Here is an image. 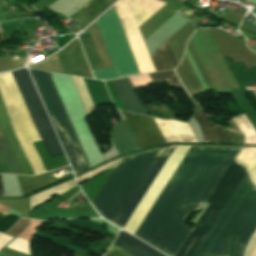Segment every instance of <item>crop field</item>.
<instances>
[{
  "label": "crop field",
  "instance_id": "crop-field-12",
  "mask_svg": "<svg viewBox=\"0 0 256 256\" xmlns=\"http://www.w3.org/2000/svg\"><path fill=\"white\" fill-rule=\"evenodd\" d=\"M155 122L161 131L166 143L168 142H197L193 131L188 123L174 120H159Z\"/></svg>",
  "mask_w": 256,
  "mask_h": 256
},
{
  "label": "crop field",
  "instance_id": "crop-field-21",
  "mask_svg": "<svg viewBox=\"0 0 256 256\" xmlns=\"http://www.w3.org/2000/svg\"><path fill=\"white\" fill-rule=\"evenodd\" d=\"M115 0H90L84 7L89 19V22L94 20L100 15L108 6H110Z\"/></svg>",
  "mask_w": 256,
  "mask_h": 256
},
{
  "label": "crop field",
  "instance_id": "crop-field-17",
  "mask_svg": "<svg viewBox=\"0 0 256 256\" xmlns=\"http://www.w3.org/2000/svg\"><path fill=\"white\" fill-rule=\"evenodd\" d=\"M77 183L75 180L71 179L68 180L64 183H61L59 185H56L54 187H51L47 190H44L42 192H39L35 195H32L29 197V201H30V211L36 206L39 205L47 200H49V198L54 195V194H58L61 195L65 192H67L68 190H70L71 188H73L74 186H76Z\"/></svg>",
  "mask_w": 256,
  "mask_h": 256
},
{
  "label": "crop field",
  "instance_id": "crop-field-18",
  "mask_svg": "<svg viewBox=\"0 0 256 256\" xmlns=\"http://www.w3.org/2000/svg\"><path fill=\"white\" fill-rule=\"evenodd\" d=\"M236 161L244 164L249 172L256 163V147H244L236 158ZM249 175L252 183L256 186V164L249 172Z\"/></svg>",
  "mask_w": 256,
  "mask_h": 256
},
{
  "label": "crop field",
  "instance_id": "crop-field-15",
  "mask_svg": "<svg viewBox=\"0 0 256 256\" xmlns=\"http://www.w3.org/2000/svg\"><path fill=\"white\" fill-rule=\"evenodd\" d=\"M113 244L123 248L134 256H165L123 231H120Z\"/></svg>",
  "mask_w": 256,
  "mask_h": 256
},
{
  "label": "crop field",
  "instance_id": "crop-field-25",
  "mask_svg": "<svg viewBox=\"0 0 256 256\" xmlns=\"http://www.w3.org/2000/svg\"><path fill=\"white\" fill-rule=\"evenodd\" d=\"M28 241L21 240L16 238L13 242H11L6 248L13 249L22 253L29 254Z\"/></svg>",
  "mask_w": 256,
  "mask_h": 256
},
{
  "label": "crop field",
  "instance_id": "crop-field-23",
  "mask_svg": "<svg viewBox=\"0 0 256 256\" xmlns=\"http://www.w3.org/2000/svg\"><path fill=\"white\" fill-rule=\"evenodd\" d=\"M153 83L166 81L167 84L180 82L174 72V70L166 71L162 73L149 74Z\"/></svg>",
  "mask_w": 256,
  "mask_h": 256
},
{
  "label": "crop field",
  "instance_id": "crop-field-14",
  "mask_svg": "<svg viewBox=\"0 0 256 256\" xmlns=\"http://www.w3.org/2000/svg\"><path fill=\"white\" fill-rule=\"evenodd\" d=\"M111 141L118 155L139 151L140 148L126 121L117 124L112 130Z\"/></svg>",
  "mask_w": 256,
  "mask_h": 256
},
{
  "label": "crop field",
  "instance_id": "crop-field-16",
  "mask_svg": "<svg viewBox=\"0 0 256 256\" xmlns=\"http://www.w3.org/2000/svg\"><path fill=\"white\" fill-rule=\"evenodd\" d=\"M150 57L156 71L171 69L177 65L168 41L162 44Z\"/></svg>",
  "mask_w": 256,
  "mask_h": 256
},
{
  "label": "crop field",
  "instance_id": "crop-field-10",
  "mask_svg": "<svg viewBox=\"0 0 256 256\" xmlns=\"http://www.w3.org/2000/svg\"><path fill=\"white\" fill-rule=\"evenodd\" d=\"M123 115L133 132L141 150L165 144L153 118L123 112Z\"/></svg>",
  "mask_w": 256,
  "mask_h": 256
},
{
  "label": "crop field",
  "instance_id": "crop-field-27",
  "mask_svg": "<svg viewBox=\"0 0 256 256\" xmlns=\"http://www.w3.org/2000/svg\"><path fill=\"white\" fill-rule=\"evenodd\" d=\"M245 256H256V233L247 246Z\"/></svg>",
  "mask_w": 256,
  "mask_h": 256
},
{
  "label": "crop field",
  "instance_id": "crop-field-1",
  "mask_svg": "<svg viewBox=\"0 0 256 256\" xmlns=\"http://www.w3.org/2000/svg\"><path fill=\"white\" fill-rule=\"evenodd\" d=\"M239 150L191 147L134 235L174 256L190 231L186 218L206 202Z\"/></svg>",
  "mask_w": 256,
  "mask_h": 256
},
{
  "label": "crop field",
  "instance_id": "crop-field-7",
  "mask_svg": "<svg viewBox=\"0 0 256 256\" xmlns=\"http://www.w3.org/2000/svg\"><path fill=\"white\" fill-rule=\"evenodd\" d=\"M247 170L232 162L221 181L207 200L209 204L193 231L187 237L176 256H192L209 228L241 182Z\"/></svg>",
  "mask_w": 256,
  "mask_h": 256
},
{
  "label": "crop field",
  "instance_id": "crop-field-20",
  "mask_svg": "<svg viewBox=\"0 0 256 256\" xmlns=\"http://www.w3.org/2000/svg\"><path fill=\"white\" fill-rule=\"evenodd\" d=\"M232 121L239 131L245 135V144H256V132L244 114L233 118Z\"/></svg>",
  "mask_w": 256,
  "mask_h": 256
},
{
  "label": "crop field",
  "instance_id": "crop-field-9",
  "mask_svg": "<svg viewBox=\"0 0 256 256\" xmlns=\"http://www.w3.org/2000/svg\"><path fill=\"white\" fill-rule=\"evenodd\" d=\"M11 73L50 157L64 154L26 69Z\"/></svg>",
  "mask_w": 256,
  "mask_h": 256
},
{
  "label": "crop field",
  "instance_id": "crop-field-3",
  "mask_svg": "<svg viewBox=\"0 0 256 256\" xmlns=\"http://www.w3.org/2000/svg\"><path fill=\"white\" fill-rule=\"evenodd\" d=\"M174 147L175 145H169L159 148L111 223L122 228ZM189 148L190 146L176 145L167 161L151 183L150 187L123 226V229L134 234Z\"/></svg>",
  "mask_w": 256,
  "mask_h": 256
},
{
  "label": "crop field",
  "instance_id": "crop-field-6",
  "mask_svg": "<svg viewBox=\"0 0 256 256\" xmlns=\"http://www.w3.org/2000/svg\"><path fill=\"white\" fill-rule=\"evenodd\" d=\"M0 93L15 136L34 174L36 175L45 172V169L31 143L39 141L40 138L10 72L0 75Z\"/></svg>",
  "mask_w": 256,
  "mask_h": 256
},
{
  "label": "crop field",
  "instance_id": "crop-field-11",
  "mask_svg": "<svg viewBox=\"0 0 256 256\" xmlns=\"http://www.w3.org/2000/svg\"><path fill=\"white\" fill-rule=\"evenodd\" d=\"M192 117L200 128L204 143L232 144L231 131L211 123L202 109Z\"/></svg>",
  "mask_w": 256,
  "mask_h": 256
},
{
  "label": "crop field",
  "instance_id": "crop-field-22",
  "mask_svg": "<svg viewBox=\"0 0 256 256\" xmlns=\"http://www.w3.org/2000/svg\"><path fill=\"white\" fill-rule=\"evenodd\" d=\"M0 152L12 173L21 174L0 132Z\"/></svg>",
  "mask_w": 256,
  "mask_h": 256
},
{
  "label": "crop field",
  "instance_id": "crop-field-19",
  "mask_svg": "<svg viewBox=\"0 0 256 256\" xmlns=\"http://www.w3.org/2000/svg\"><path fill=\"white\" fill-rule=\"evenodd\" d=\"M86 57L92 70L102 68L95 52L92 40L89 34L81 33L79 36Z\"/></svg>",
  "mask_w": 256,
  "mask_h": 256
},
{
  "label": "crop field",
  "instance_id": "crop-field-2",
  "mask_svg": "<svg viewBox=\"0 0 256 256\" xmlns=\"http://www.w3.org/2000/svg\"><path fill=\"white\" fill-rule=\"evenodd\" d=\"M256 229V188L245 176L193 256H241Z\"/></svg>",
  "mask_w": 256,
  "mask_h": 256
},
{
  "label": "crop field",
  "instance_id": "crop-field-4",
  "mask_svg": "<svg viewBox=\"0 0 256 256\" xmlns=\"http://www.w3.org/2000/svg\"><path fill=\"white\" fill-rule=\"evenodd\" d=\"M156 150L122 158L111 178L94 202L101 216L111 222Z\"/></svg>",
  "mask_w": 256,
  "mask_h": 256
},
{
  "label": "crop field",
  "instance_id": "crop-field-29",
  "mask_svg": "<svg viewBox=\"0 0 256 256\" xmlns=\"http://www.w3.org/2000/svg\"><path fill=\"white\" fill-rule=\"evenodd\" d=\"M0 173H10L7 165L0 166Z\"/></svg>",
  "mask_w": 256,
  "mask_h": 256
},
{
  "label": "crop field",
  "instance_id": "crop-field-8",
  "mask_svg": "<svg viewBox=\"0 0 256 256\" xmlns=\"http://www.w3.org/2000/svg\"><path fill=\"white\" fill-rule=\"evenodd\" d=\"M97 24L114 68L92 71L94 77L106 80L139 74L114 8Z\"/></svg>",
  "mask_w": 256,
  "mask_h": 256
},
{
  "label": "crop field",
  "instance_id": "crop-field-28",
  "mask_svg": "<svg viewBox=\"0 0 256 256\" xmlns=\"http://www.w3.org/2000/svg\"><path fill=\"white\" fill-rule=\"evenodd\" d=\"M12 239V237L0 234V250Z\"/></svg>",
  "mask_w": 256,
  "mask_h": 256
},
{
  "label": "crop field",
  "instance_id": "crop-field-13",
  "mask_svg": "<svg viewBox=\"0 0 256 256\" xmlns=\"http://www.w3.org/2000/svg\"><path fill=\"white\" fill-rule=\"evenodd\" d=\"M111 83L125 105L127 111L150 116V114L144 108L143 103L133 90L128 78L112 80Z\"/></svg>",
  "mask_w": 256,
  "mask_h": 256
},
{
  "label": "crop field",
  "instance_id": "crop-field-5",
  "mask_svg": "<svg viewBox=\"0 0 256 256\" xmlns=\"http://www.w3.org/2000/svg\"><path fill=\"white\" fill-rule=\"evenodd\" d=\"M45 108L57 132L74 173L88 168V163L61 104L48 73L29 70Z\"/></svg>",
  "mask_w": 256,
  "mask_h": 256
},
{
  "label": "crop field",
  "instance_id": "crop-field-30",
  "mask_svg": "<svg viewBox=\"0 0 256 256\" xmlns=\"http://www.w3.org/2000/svg\"><path fill=\"white\" fill-rule=\"evenodd\" d=\"M3 196V193H2V185H1V177H0V197Z\"/></svg>",
  "mask_w": 256,
  "mask_h": 256
},
{
  "label": "crop field",
  "instance_id": "crop-field-26",
  "mask_svg": "<svg viewBox=\"0 0 256 256\" xmlns=\"http://www.w3.org/2000/svg\"><path fill=\"white\" fill-rule=\"evenodd\" d=\"M104 256H132L115 245H111Z\"/></svg>",
  "mask_w": 256,
  "mask_h": 256
},
{
  "label": "crop field",
  "instance_id": "crop-field-24",
  "mask_svg": "<svg viewBox=\"0 0 256 256\" xmlns=\"http://www.w3.org/2000/svg\"><path fill=\"white\" fill-rule=\"evenodd\" d=\"M120 159L121 158H118V159H116V160H114V161H112V162H110V163H108V164H106L104 166L101 165L102 167H99V168H97V169H95L93 171L90 170L91 172L88 171L89 173H86V174H84V175H82L80 177L77 176L78 177L77 179H78L79 183H81V182L91 178L92 176H94V175H96V174H98V173H100V172H102V171H104L106 169H110V168L116 167L118 165Z\"/></svg>",
  "mask_w": 256,
  "mask_h": 256
}]
</instances>
